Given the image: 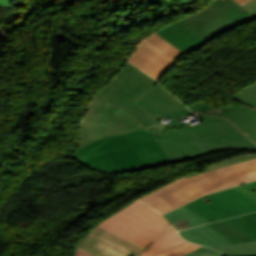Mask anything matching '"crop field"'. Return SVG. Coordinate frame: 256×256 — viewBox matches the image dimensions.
Segmentation results:
<instances>
[{
    "label": "crop field",
    "mask_w": 256,
    "mask_h": 256,
    "mask_svg": "<svg viewBox=\"0 0 256 256\" xmlns=\"http://www.w3.org/2000/svg\"><path fill=\"white\" fill-rule=\"evenodd\" d=\"M207 197L212 204L202 201ZM184 206L210 222L256 211V205L231 188L204 195Z\"/></svg>",
    "instance_id": "crop-field-6"
},
{
    "label": "crop field",
    "mask_w": 256,
    "mask_h": 256,
    "mask_svg": "<svg viewBox=\"0 0 256 256\" xmlns=\"http://www.w3.org/2000/svg\"><path fill=\"white\" fill-rule=\"evenodd\" d=\"M99 225L146 247L171 224L151 208L136 200Z\"/></svg>",
    "instance_id": "crop-field-4"
},
{
    "label": "crop field",
    "mask_w": 256,
    "mask_h": 256,
    "mask_svg": "<svg viewBox=\"0 0 256 256\" xmlns=\"http://www.w3.org/2000/svg\"><path fill=\"white\" fill-rule=\"evenodd\" d=\"M158 81L175 61L144 40L129 60Z\"/></svg>",
    "instance_id": "crop-field-8"
},
{
    "label": "crop field",
    "mask_w": 256,
    "mask_h": 256,
    "mask_svg": "<svg viewBox=\"0 0 256 256\" xmlns=\"http://www.w3.org/2000/svg\"><path fill=\"white\" fill-rule=\"evenodd\" d=\"M184 114L193 113L127 62L90 101L79 124L78 147L108 135L153 126V121L166 116L184 118Z\"/></svg>",
    "instance_id": "crop-field-2"
},
{
    "label": "crop field",
    "mask_w": 256,
    "mask_h": 256,
    "mask_svg": "<svg viewBox=\"0 0 256 256\" xmlns=\"http://www.w3.org/2000/svg\"><path fill=\"white\" fill-rule=\"evenodd\" d=\"M200 116L203 121L193 127L186 124L157 136L152 130L137 129L105 137L78 148L72 158L101 172L121 173L224 149L256 147L226 119Z\"/></svg>",
    "instance_id": "crop-field-1"
},
{
    "label": "crop field",
    "mask_w": 256,
    "mask_h": 256,
    "mask_svg": "<svg viewBox=\"0 0 256 256\" xmlns=\"http://www.w3.org/2000/svg\"><path fill=\"white\" fill-rule=\"evenodd\" d=\"M141 254H138L136 252H132L129 256H140Z\"/></svg>",
    "instance_id": "crop-field-30"
},
{
    "label": "crop field",
    "mask_w": 256,
    "mask_h": 256,
    "mask_svg": "<svg viewBox=\"0 0 256 256\" xmlns=\"http://www.w3.org/2000/svg\"><path fill=\"white\" fill-rule=\"evenodd\" d=\"M145 39L148 40L151 44H153L154 46H156L157 48H159L160 50H162L164 53H166L167 55H169L172 58L179 54L181 56L183 55V53H181L179 50L174 48L172 45H170L168 42L163 40L161 37H159L155 33L146 37Z\"/></svg>",
    "instance_id": "crop-field-19"
},
{
    "label": "crop field",
    "mask_w": 256,
    "mask_h": 256,
    "mask_svg": "<svg viewBox=\"0 0 256 256\" xmlns=\"http://www.w3.org/2000/svg\"><path fill=\"white\" fill-rule=\"evenodd\" d=\"M208 227L212 228L216 232L220 233L227 239L231 240L234 243L253 241L251 237L244 234L243 232L233 228L232 226L220 221L212 224H207Z\"/></svg>",
    "instance_id": "crop-field-15"
},
{
    "label": "crop field",
    "mask_w": 256,
    "mask_h": 256,
    "mask_svg": "<svg viewBox=\"0 0 256 256\" xmlns=\"http://www.w3.org/2000/svg\"><path fill=\"white\" fill-rule=\"evenodd\" d=\"M252 180H256V159L187 179L183 177L138 200L162 215L204 194Z\"/></svg>",
    "instance_id": "crop-field-3"
},
{
    "label": "crop field",
    "mask_w": 256,
    "mask_h": 256,
    "mask_svg": "<svg viewBox=\"0 0 256 256\" xmlns=\"http://www.w3.org/2000/svg\"><path fill=\"white\" fill-rule=\"evenodd\" d=\"M256 19L233 0H213L202 11L180 20L206 42Z\"/></svg>",
    "instance_id": "crop-field-5"
},
{
    "label": "crop field",
    "mask_w": 256,
    "mask_h": 256,
    "mask_svg": "<svg viewBox=\"0 0 256 256\" xmlns=\"http://www.w3.org/2000/svg\"><path fill=\"white\" fill-rule=\"evenodd\" d=\"M226 256H256V254H244V255H226Z\"/></svg>",
    "instance_id": "crop-field-29"
},
{
    "label": "crop field",
    "mask_w": 256,
    "mask_h": 256,
    "mask_svg": "<svg viewBox=\"0 0 256 256\" xmlns=\"http://www.w3.org/2000/svg\"><path fill=\"white\" fill-rule=\"evenodd\" d=\"M208 256H224V255L222 253L218 252V251H215V252L211 253Z\"/></svg>",
    "instance_id": "crop-field-27"
},
{
    "label": "crop field",
    "mask_w": 256,
    "mask_h": 256,
    "mask_svg": "<svg viewBox=\"0 0 256 256\" xmlns=\"http://www.w3.org/2000/svg\"><path fill=\"white\" fill-rule=\"evenodd\" d=\"M252 158H256V155H240V156L232 157V158H230L228 160L218 162V163L208 167L207 169H205L202 172H198V173H194V174H191V175H187L186 178L189 177V176H192V175H196V174L203 173V172H206V171H210V170L226 167V166H229V165H232V164H236V163H239V162H242V161H246V160H249V159H252Z\"/></svg>",
    "instance_id": "crop-field-21"
},
{
    "label": "crop field",
    "mask_w": 256,
    "mask_h": 256,
    "mask_svg": "<svg viewBox=\"0 0 256 256\" xmlns=\"http://www.w3.org/2000/svg\"><path fill=\"white\" fill-rule=\"evenodd\" d=\"M198 247L200 246L183 240L164 248L145 252L141 256H179L188 253Z\"/></svg>",
    "instance_id": "crop-field-12"
},
{
    "label": "crop field",
    "mask_w": 256,
    "mask_h": 256,
    "mask_svg": "<svg viewBox=\"0 0 256 256\" xmlns=\"http://www.w3.org/2000/svg\"><path fill=\"white\" fill-rule=\"evenodd\" d=\"M179 233L185 239L210 247L232 243L205 225L182 230Z\"/></svg>",
    "instance_id": "crop-field-11"
},
{
    "label": "crop field",
    "mask_w": 256,
    "mask_h": 256,
    "mask_svg": "<svg viewBox=\"0 0 256 256\" xmlns=\"http://www.w3.org/2000/svg\"><path fill=\"white\" fill-rule=\"evenodd\" d=\"M223 221L256 239V212Z\"/></svg>",
    "instance_id": "crop-field-13"
},
{
    "label": "crop field",
    "mask_w": 256,
    "mask_h": 256,
    "mask_svg": "<svg viewBox=\"0 0 256 256\" xmlns=\"http://www.w3.org/2000/svg\"><path fill=\"white\" fill-rule=\"evenodd\" d=\"M77 249L94 256H126L131 251L93 231Z\"/></svg>",
    "instance_id": "crop-field-10"
},
{
    "label": "crop field",
    "mask_w": 256,
    "mask_h": 256,
    "mask_svg": "<svg viewBox=\"0 0 256 256\" xmlns=\"http://www.w3.org/2000/svg\"><path fill=\"white\" fill-rule=\"evenodd\" d=\"M232 188L256 204V181L248 182Z\"/></svg>",
    "instance_id": "crop-field-22"
},
{
    "label": "crop field",
    "mask_w": 256,
    "mask_h": 256,
    "mask_svg": "<svg viewBox=\"0 0 256 256\" xmlns=\"http://www.w3.org/2000/svg\"><path fill=\"white\" fill-rule=\"evenodd\" d=\"M180 240H183V239L178 235V233L172 227H169L167 230L161 233L159 237L156 240H154L145 251L164 247L169 244L178 242Z\"/></svg>",
    "instance_id": "crop-field-16"
},
{
    "label": "crop field",
    "mask_w": 256,
    "mask_h": 256,
    "mask_svg": "<svg viewBox=\"0 0 256 256\" xmlns=\"http://www.w3.org/2000/svg\"><path fill=\"white\" fill-rule=\"evenodd\" d=\"M162 216L165 219H167L175 227L176 230H178V229H177L174 221L182 220V219H186V218H188L192 227L201 225V224H205V223H209L207 220L203 219L202 217L195 214L194 212H192L191 210L187 209L184 206L177 210H174L172 212L166 213Z\"/></svg>",
    "instance_id": "crop-field-14"
},
{
    "label": "crop field",
    "mask_w": 256,
    "mask_h": 256,
    "mask_svg": "<svg viewBox=\"0 0 256 256\" xmlns=\"http://www.w3.org/2000/svg\"><path fill=\"white\" fill-rule=\"evenodd\" d=\"M93 231H95V232H97V233H99V234H101V235H103V236H105V237H107V238H109V239H111V240L129 248V249H131V250L142 252L143 249H144V247H141V246H139V245H137L133 242H130V241H128V240H126V239H124V238H122V237H120V236H118V235L100 227V226L95 227L93 229Z\"/></svg>",
    "instance_id": "crop-field-18"
},
{
    "label": "crop field",
    "mask_w": 256,
    "mask_h": 256,
    "mask_svg": "<svg viewBox=\"0 0 256 256\" xmlns=\"http://www.w3.org/2000/svg\"><path fill=\"white\" fill-rule=\"evenodd\" d=\"M234 1H236L238 4H240L242 6L250 0H234Z\"/></svg>",
    "instance_id": "crop-field-28"
},
{
    "label": "crop field",
    "mask_w": 256,
    "mask_h": 256,
    "mask_svg": "<svg viewBox=\"0 0 256 256\" xmlns=\"http://www.w3.org/2000/svg\"><path fill=\"white\" fill-rule=\"evenodd\" d=\"M184 54H187L206 42L179 21L155 32Z\"/></svg>",
    "instance_id": "crop-field-9"
},
{
    "label": "crop field",
    "mask_w": 256,
    "mask_h": 256,
    "mask_svg": "<svg viewBox=\"0 0 256 256\" xmlns=\"http://www.w3.org/2000/svg\"><path fill=\"white\" fill-rule=\"evenodd\" d=\"M213 251H215V250L203 246V247H201V248H199V249H197L195 251H192V252H190L188 254H185L183 256H206V255L210 254Z\"/></svg>",
    "instance_id": "crop-field-23"
},
{
    "label": "crop field",
    "mask_w": 256,
    "mask_h": 256,
    "mask_svg": "<svg viewBox=\"0 0 256 256\" xmlns=\"http://www.w3.org/2000/svg\"><path fill=\"white\" fill-rule=\"evenodd\" d=\"M195 114H210L228 118L239 130L256 142V109L244 104L213 108L199 101L188 106Z\"/></svg>",
    "instance_id": "crop-field-7"
},
{
    "label": "crop field",
    "mask_w": 256,
    "mask_h": 256,
    "mask_svg": "<svg viewBox=\"0 0 256 256\" xmlns=\"http://www.w3.org/2000/svg\"><path fill=\"white\" fill-rule=\"evenodd\" d=\"M242 7L256 17V0L250 1Z\"/></svg>",
    "instance_id": "crop-field-24"
},
{
    "label": "crop field",
    "mask_w": 256,
    "mask_h": 256,
    "mask_svg": "<svg viewBox=\"0 0 256 256\" xmlns=\"http://www.w3.org/2000/svg\"><path fill=\"white\" fill-rule=\"evenodd\" d=\"M13 0H0V5L5 6V7H11V2Z\"/></svg>",
    "instance_id": "crop-field-25"
},
{
    "label": "crop field",
    "mask_w": 256,
    "mask_h": 256,
    "mask_svg": "<svg viewBox=\"0 0 256 256\" xmlns=\"http://www.w3.org/2000/svg\"><path fill=\"white\" fill-rule=\"evenodd\" d=\"M224 254L256 253V241L214 247Z\"/></svg>",
    "instance_id": "crop-field-17"
},
{
    "label": "crop field",
    "mask_w": 256,
    "mask_h": 256,
    "mask_svg": "<svg viewBox=\"0 0 256 256\" xmlns=\"http://www.w3.org/2000/svg\"><path fill=\"white\" fill-rule=\"evenodd\" d=\"M73 256H91V255L81 252L79 250H76Z\"/></svg>",
    "instance_id": "crop-field-26"
},
{
    "label": "crop field",
    "mask_w": 256,
    "mask_h": 256,
    "mask_svg": "<svg viewBox=\"0 0 256 256\" xmlns=\"http://www.w3.org/2000/svg\"><path fill=\"white\" fill-rule=\"evenodd\" d=\"M232 96L244 104L256 108V83Z\"/></svg>",
    "instance_id": "crop-field-20"
}]
</instances>
